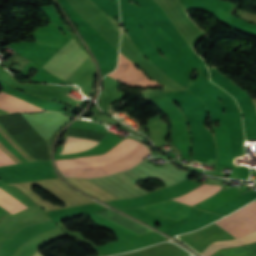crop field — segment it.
I'll use <instances>...</instances> for the list:
<instances>
[{
    "label": "crop field",
    "mask_w": 256,
    "mask_h": 256,
    "mask_svg": "<svg viewBox=\"0 0 256 256\" xmlns=\"http://www.w3.org/2000/svg\"><path fill=\"white\" fill-rule=\"evenodd\" d=\"M2 190L0 189V206L2 208L6 209L12 214L27 208L25 205H23Z\"/></svg>",
    "instance_id": "obj_9"
},
{
    "label": "crop field",
    "mask_w": 256,
    "mask_h": 256,
    "mask_svg": "<svg viewBox=\"0 0 256 256\" xmlns=\"http://www.w3.org/2000/svg\"><path fill=\"white\" fill-rule=\"evenodd\" d=\"M255 241H256V231L246 236H243L239 239H235L231 241L215 242L212 245H210L208 248H206L201 254H203L204 256H209L212 253L218 251L219 249L236 247V246L244 245V244L255 242Z\"/></svg>",
    "instance_id": "obj_6"
},
{
    "label": "crop field",
    "mask_w": 256,
    "mask_h": 256,
    "mask_svg": "<svg viewBox=\"0 0 256 256\" xmlns=\"http://www.w3.org/2000/svg\"><path fill=\"white\" fill-rule=\"evenodd\" d=\"M149 150L144 144H138L131 152L123 156L122 158L111 162L107 165L86 168V169H59L64 177H98L108 174H112L118 171L129 169L138 162H140L147 154Z\"/></svg>",
    "instance_id": "obj_1"
},
{
    "label": "crop field",
    "mask_w": 256,
    "mask_h": 256,
    "mask_svg": "<svg viewBox=\"0 0 256 256\" xmlns=\"http://www.w3.org/2000/svg\"><path fill=\"white\" fill-rule=\"evenodd\" d=\"M214 187L215 186H213V185H207V184H203L202 186H200V187H198V188H196V189H194L193 191H191L190 193H188V194H186V195H183V196H180V197H177V198H174L175 200H178V201H180V202H183V203H185V204H187V203H189V202H191V201H193V200H195V199H197V198H199V197H201V196H203V195H205V194H207V193H209L211 190H213L214 189ZM217 188L218 187H216L213 191H211L209 194H211V193H213L214 191H216L217 190ZM220 189V186H219V188H218V190ZM217 190V191H218ZM216 191V192H217ZM216 192H214V193H216ZM213 193V194H214ZM209 194H207V195H209ZM212 194V195H213ZM207 195H205V196H207ZM205 196H203V197H205ZM211 196V195H210ZM202 197V198H203ZM209 197V196H208ZM207 198V197H206ZM201 199V198H200ZM205 199V198H204ZM199 200V199H198ZM203 200V199H202ZM197 201V200H196ZM201 201V200H200ZM195 202V201H194ZM199 202V201H198ZM193 203V202H192ZM192 203H190V204H192ZM197 203V202H196ZM196 203H194V204H196ZM190 204H188V205H190ZM194 204H192V205H194Z\"/></svg>",
    "instance_id": "obj_7"
},
{
    "label": "crop field",
    "mask_w": 256,
    "mask_h": 256,
    "mask_svg": "<svg viewBox=\"0 0 256 256\" xmlns=\"http://www.w3.org/2000/svg\"><path fill=\"white\" fill-rule=\"evenodd\" d=\"M109 75L130 86H160L156 81L148 79L143 72L138 70L134 64L127 60L121 53L118 68Z\"/></svg>",
    "instance_id": "obj_3"
},
{
    "label": "crop field",
    "mask_w": 256,
    "mask_h": 256,
    "mask_svg": "<svg viewBox=\"0 0 256 256\" xmlns=\"http://www.w3.org/2000/svg\"><path fill=\"white\" fill-rule=\"evenodd\" d=\"M142 208L178 221L186 215L190 207L174 201H167Z\"/></svg>",
    "instance_id": "obj_4"
},
{
    "label": "crop field",
    "mask_w": 256,
    "mask_h": 256,
    "mask_svg": "<svg viewBox=\"0 0 256 256\" xmlns=\"http://www.w3.org/2000/svg\"><path fill=\"white\" fill-rule=\"evenodd\" d=\"M100 141L68 138L61 154L78 152L95 146Z\"/></svg>",
    "instance_id": "obj_8"
},
{
    "label": "crop field",
    "mask_w": 256,
    "mask_h": 256,
    "mask_svg": "<svg viewBox=\"0 0 256 256\" xmlns=\"http://www.w3.org/2000/svg\"><path fill=\"white\" fill-rule=\"evenodd\" d=\"M13 162L1 149H0V166L12 164Z\"/></svg>",
    "instance_id": "obj_10"
},
{
    "label": "crop field",
    "mask_w": 256,
    "mask_h": 256,
    "mask_svg": "<svg viewBox=\"0 0 256 256\" xmlns=\"http://www.w3.org/2000/svg\"><path fill=\"white\" fill-rule=\"evenodd\" d=\"M0 108L7 110L9 112L41 110L27 102H24L20 99L13 97V96H10L2 91L0 92Z\"/></svg>",
    "instance_id": "obj_5"
},
{
    "label": "crop field",
    "mask_w": 256,
    "mask_h": 256,
    "mask_svg": "<svg viewBox=\"0 0 256 256\" xmlns=\"http://www.w3.org/2000/svg\"><path fill=\"white\" fill-rule=\"evenodd\" d=\"M33 256H40L39 252H36Z\"/></svg>",
    "instance_id": "obj_11"
},
{
    "label": "crop field",
    "mask_w": 256,
    "mask_h": 256,
    "mask_svg": "<svg viewBox=\"0 0 256 256\" xmlns=\"http://www.w3.org/2000/svg\"><path fill=\"white\" fill-rule=\"evenodd\" d=\"M88 58L87 53L83 52L73 39L55 54L43 68L66 80Z\"/></svg>",
    "instance_id": "obj_2"
}]
</instances>
